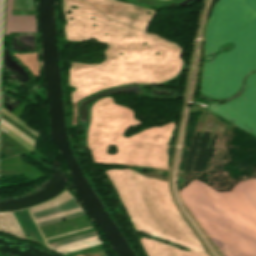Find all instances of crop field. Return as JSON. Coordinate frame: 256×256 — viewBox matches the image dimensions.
<instances>
[{
    "label": "crop field",
    "instance_id": "obj_6",
    "mask_svg": "<svg viewBox=\"0 0 256 256\" xmlns=\"http://www.w3.org/2000/svg\"><path fill=\"white\" fill-rule=\"evenodd\" d=\"M80 214H84V211L74 213V214H71V215H67V216H64V217L56 218V219H53V220H49V221H46V222L38 223V226L48 224V223H51V222H55V221H58V220L66 219V218L73 217V216L80 215Z\"/></svg>",
    "mask_w": 256,
    "mask_h": 256
},
{
    "label": "crop field",
    "instance_id": "obj_4",
    "mask_svg": "<svg viewBox=\"0 0 256 256\" xmlns=\"http://www.w3.org/2000/svg\"><path fill=\"white\" fill-rule=\"evenodd\" d=\"M2 113H4L6 116H8L9 118H11L13 121H15L16 123H18L19 125H21L23 128H25L26 130H28L29 132H31L33 135H35L36 137H39L40 133H38L37 131H35L34 129H32L30 126H28L27 124H25L24 122H22L20 119H18L17 117H15L13 114H11L10 112H8L7 110H5L4 108H2Z\"/></svg>",
    "mask_w": 256,
    "mask_h": 256
},
{
    "label": "crop field",
    "instance_id": "obj_3",
    "mask_svg": "<svg viewBox=\"0 0 256 256\" xmlns=\"http://www.w3.org/2000/svg\"><path fill=\"white\" fill-rule=\"evenodd\" d=\"M1 130L3 132H5L6 134H8L10 137H12L13 139H15L16 141H18L20 144H22L23 146H25L26 148H28L30 151H33L34 146H32L31 144H29L27 141H25L24 139H22L21 137H19L17 134H15L14 132H12L11 130H9L8 128H6L5 126L2 125Z\"/></svg>",
    "mask_w": 256,
    "mask_h": 256
},
{
    "label": "crop field",
    "instance_id": "obj_5",
    "mask_svg": "<svg viewBox=\"0 0 256 256\" xmlns=\"http://www.w3.org/2000/svg\"><path fill=\"white\" fill-rule=\"evenodd\" d=\"M92 236H96L95 231L90 232V233H86V234H83V235H79V236H76V237L68 238V239H65V240H61V241H58V242L50 243L49 246L52 247V246H56V245H60V244H64V243H68V242H72V241H76V240H80V239H84V238H88V237H92Z\"/></svg>",
    "mask_w": 256,
    "mask_h": 256
},
{
    "label": "crop field",
    "instance_id": "obj_1",
    "mask_svg": "<svg viewBox=\"0 0 256 256\" xmlns=\"http://www.w3.org/2000/svg\"><path fill=\"white\" fill-rule=\"evenodd\" d=\"M12 0L6 2L5 35L10 32H36L35 16L11 15Z\"/></svg>",
    "mask_w": 256,
    "mask_h": 256
},
{
    "label": "crop field",
    "instance_id": "obj_2",
    "mask_svg": "<svg viewBox=\"0 0 256 256\" xmlns=\"http://www.w3.org/2000/svg\"><path fill=\"white\" fill-rule=\"evenodd\" d=\"M76 207H80V204L76 200V198L73 197V198H71V199H69V200H67V201H65V202H63V203H61L57 206H54V207H51V208L33 213L32 215H33L34 219H36V218L44 217V216H47V215L62 212V211H65V210L76 208Z\"/></svg>",
    "mask_w": 256,
    "mask_h": 256
}]
</instances>
